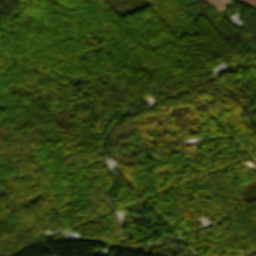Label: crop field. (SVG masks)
Instances as JSON below:
<instances>
[{"label":"crop field","mask_w":256,"mask_h":256,"mask_svg":"<svg viewBox=\"0 0 256 256\" xmlns=\"http://www.w3.org/2000/svg\"><path fill=\"white\" fill-rule=\"evenodd\" d=\"M204 1H206L208 4H210L212 7H214L218 11L228 5L221 0H204Z\"/></svg>","instance_id":"obj_1"},{"label":"crop field","mask_w":256,"mask_h":256,"mask_svg":"<svg viewBox=\"0 0 256 256\" xmlns=\"http://www.w3.org/2000/svg\"><path fill=\"white\" fill-rule=\"evenodd\" d=\"M239 1H242L244 3H247V4L251 5V6L256 7V0H239Z\"/></svg>","instance_id":"obj_2"}]
</instances>
